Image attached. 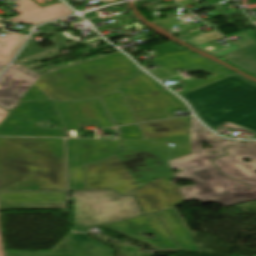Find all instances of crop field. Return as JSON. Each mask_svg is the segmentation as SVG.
I'll return each instance as SVG.
<instances>
[{
  "instance_id": "8a807250",
  "label": "crop field",
  "mask_w": 256,
  "mask_h": 256,
  "mask_svg": "<svg viewBox=\"0 0 256 256\" xmlns=\"http://www.w3.org/2000/svg\"><path fill=\"white\" fill-rule=\"evenodd\" d=\"M139 126L145 140H122L125 149L120 154L84 166L87 189L113 188L120 194L130 193L159 177L171 176L167 160L190 153V144L184 149L183 145L171 149L164 144L188 142V117Z\"/></svg>"
},
{
  "instance_id": "ac0d7876",
  "label": "crop field",
  "mask_w": 256,
  "mask_h": 256,
  "mask_svg": "<svg viewBox=\"0 0 256 256\" xmlns=\"http://www.w3.org/2000/svg\"><path fill=\"white\" fill-rule=\"evenodd\" d=\"M66 190L63 139L0 137V191Z\"/></svg>"
},
{
  "instance_id": "34b2d1b8",
  "label": "crop field",
  "mask_w": 256,
  "mask_h": 256,
  "mask_svg": "<svg viewBox=\"0 0 256 256\" xmlns=\"http://www.w3.org/2000/svg\"><path fill=\"white\" fill-rule=\"evenodd\" d=\"M136 66L120 52L42 75L34 84L55 101H77L115 92L135 76Z\"/></svg>"
},
{
  "instance_id": "412701ff",
  "label": "crop field",
  "mask_w": 256,
  "mask_h": 256,
  "mask_svg": "<svg viewBox=\"0 0 256 256\" xmlns=\"http://www.w3.org/2000/svg\"><path fill=\"white\" fill-rule=\"evenodd\" d=\"M182 97L211 129L229 122L256 133V85L236 74L194 89Z\"/></svg>"
},
{
  "instance_id": "f4fd0767",
  "label": "crop field",
  "mask_w": 256,
  "mask_h": 256,
  "mask_svg": "<svg viewBox=\"0 0 256 256\" xmlns=\"http://www.w3.org/2000/svg\"><path fill=\"white\" fill-rule=\"evenodd\" d=\"M240 142L242 141L224 144L168 161L171 168L182 170L174 173L176 179L188 180L195 184L179 187L185 202L201 201L250 188L221 174L210 161L212 158L226 154L223 150L224 147ZM212 150L217 153L212 154Z\"/></svg>"
},
{
  "instance_id": "dd49c442",
  "label": "crop field",
  "mask_w": 256,
  "mask_h": 256,
  "mask_svg": "<svg viewBox=\"0 0 256 256\" xmlns=\"http://www.w3.org/2000/svg\"><path fill=\"white\" fill-rule=\"evenodd\" d=\"M117 197L118 200L114 201ZM76 229L125 220L142 213L133 197H120L112 190L72 192ZM97 220L98 223L93 222Z\"/></svg>"
},
{
  "instance_id": "e52e79f7",
  "label": "crop field",
  "mask_w": 256,
  "mask_h": 256,
  "mask_svg": "<svg viewBox=\"0 0 256 256\" xmlns=\"http://www.w3.org/2000/svg\"><path fill=\"white\" fill-rule=\"evenodd\" d=\"M120 89L137 122L172 118L171 110L186 108L141 69L136 78L120 84Z\"/></svg>"
},
{
  "instance_id": "d8731c3e",
  "label": "crop field",
  "mask_w": 256,
  "mask_h": 256,
  "mask_svg": "<svg viewBox=\"0 0 256 256\" xmlns=\"http://www.w3.org/2000/svg\"><path fill=\"white\" fill-rule=\"evenodd\" d=\"M52 120L57 127L65 128L53 102H24L7 115L0 124V135L63 137L62 130H43L35 122Z\"/></svg>"
},
{
  "instance_id": "5a996713",
  "label": "crop field",
  "mask_w": 256,
  "mask_h": 256,
  "mask_svg": "<svg viewBox=\"0 0 256 256\" xmlns=\"http://www.w3.org/2000/svg\"><path fill=\"white\" fill-rule=\"evenodd\" d=\"M67 164L69 190L84 189L82 164L91 163L118 153V140L68 139Z\"/></svg>"
},
{
  "instance_id": "3316defc",
  "label": "crop field",
  "mask_w": 256,
  "mask_h": 256,
  "mask_svg": "<svg viewBox=\"0 0 256 256\" xmlns=\"http://www.w3.org/2000/svg\"><path fill=\"white\" fill-rule=\"evenodd\" d=\"M107 229L144 243L160 252L179 251L155 213L104 225ZM148 233L154 236L151 240L145 236Z\"/></svg>"
},
{
  "instance_id": "28ad6ade",
  "label": "crop field",
  "mask_w": 256,
  "mask_h": 256,
  "mask_svg": "<svg viewBox=\"0 0 256 256\" xmlns=\"http://www.w3.org/2000/svg\"><path fill=\"white\" fill-rule=\"evenodd\" d=\"M153 62H155L161 68L160 70L154 69L152 71H149V73L159 79L175 75V73H173L172 71L179 68H190L193 70L203 69L205 73H208L212 76L211 79L195 78L191 80L186 84V87L190 90L233 74L232 71L226 68H223L215 63H212L206 59L190 54L188 52H180L177 54L166 55L159 59L153 60Z\"/></svg>"
},
{
  "instance_id": "d1516ede",
  "label": "crop field",
  "mask_w": 256,
  "mask_h": 256,
  "mask_svg": "<svg viewBox=\"0 0 256 256\" xmlns=\"http://www.w3.org/2000/svg\"><path fill=\"white\" fill-rule=\"evenodd\" d=\"M230 154L213 160L220 171L248 186L256 187V144L245 142L226 149ZM241 158L252 160L245 163Z\"/></svg>"
},
{
  "instance_id": "22f410ed",
  "label": "crop field",
  "mask_w": 256,
  "mask_h": 256,
  "mask_svg": "<svg viewBox=\"0 0 256 256\" xmlns=\"http://www.w3.org/2000/svg\"><path fill=\"white\" fill-rule=\"evenodd\" d=\"M172 179L173 176L159 178L134 191L144 214L182 205L179 188L169 183Z\"/></svg>"
},
{
  "instance_id": "cbeb9de0",
  "label": "crop field",
  "mask_w": 256,
  "mask_h": 256,
  "mask_svg": "<svg viewBox=\"0 0 256 256\" xmlns=\"http://www.w3.org/2000/svg\"><path fill=\"white\" fill-rule=\"evenodd\" d=\"M6 256H115L114 250L91 240L86 234H69L51 252H5Z\"/></svg>"
},
{
  "instance_id": "5142ce71",
  "label": "crop field",
  "mask_w": 256,
  "mask_h": 256,
  "mask_svg": "<svg viewBox=\"0 0 256 256\" xmlns=\"http://www.w3.org/2000/svg\"><path fill=\"white\" fill-rule=\"evenodd\" d=\"M0 209H66V192H0Z\"/></svg>"
},
{
  "instance_id": "d9b57169",
  "label": "crop field",
  "mask_w": 256,
  "mask_h": 256,
  "mask_svg": "<svg viewBox=\"0 0 256 256\" xmlns=\"http://www.w3.org/2000/svg\"><path fill=\"white\" fill-rule=\"evenodd\" d=\"M40 75L14 64L0 77V107L11 109Z\"/></svg>"
},
{
  "instance_id": "733c2abd",
  "label": "crop field",
  "mask_w": 256,
  "mask_h": 256,
  "mask_svg": "<svg viewBox=\"0 0 256 256\" xmlns=\"http://www.w3.org/2000/svg\"><path fill=\"white\" fill-rule=\"evenodd\" d=\"M54 105L66 128H78V122L99 121L101 127L113 126L108 120L99 98Z\"/></svg>"
},
{
  "instance_id": "4a817a6b",
  "label": "crop field",
  "mask_w": 256,
  "mask_h": 256,
  "mask_svg": "<svg viewBox=\"0 0 256 256\" xmlns=\"http://www.w3.org/2000/svg\"><path fill=\"white\" fill-rule=\"evenodd\" d=\"M157 215L176 242L181 252L200 253V250L193 241L191 232L175 210L169 209L157 212Z\"/></svg>"
},
{
  "instance_id": "bc2a9ffb",
  "label": "crop field",
  "mask_w": 256,
  "mask_h": 256,
  "mask_svg": "<svg viewBox=\"0 0 256 256\" xmlns=\"http://www.w3.org/2000/svg\"><path fill=\"white\" fill-rule=\"evenodd\" d=\"M71 11L65 7L62 3L53 5L40 10L32 11L29 13L21 14L12 18L9 21L19 22V23H29L31 25H37L45 21L53 20L65 15L70 14Z\"/></svg>"
},
{
  "instance_id": "214f88e0",
  "label": "crop field",
  "mask_w": 256,
  "mask_h": 256,
  "mask_svg": "<svg viewBox=\"0 0 256 256\" xmlns=\"http://www.w3.org/2000/svg\"><path fill=\"white\" fill-rule=\"evenodd\" d=\"M102 99L112 121L117 125L136 122L120 89L115 94L103 96Z\"/></svg>"
},
{
  "instance_id": "92a150f3",
  "label": "crop field",
  "mask_w": 256,
  "mask_h": 256,
  "mask_svg": "<svg viewBox=\"0 0 256 256\" xmlns=\"http://www.w3.org/2000/svg\"><path fill=\"white\" fill-rule=\"evenodd\" d=\"M222 57L235 66L256 76V42Z\"/></svg>"
},
{
  "instance_id": "dafd665d",
  "label": "crop field",
  "mask_w": 256,
  "mask_h": 256,
  "mask_svg": "<svg viewBox=\"0 0 256 256\" xmlns=\"http://www.w3.org/2000/svg\"><path fill=\"white\" fill-rule=\"evenodd\" d=\"M204 128L193 117H191V135H190L191 152H196L201 150L200 142L202 140H205L212 146L232 142L231 140H223ZM195 129L198 130L197 133H194Z\"/></svg>"
},
{
  "instance_id": "00972430",
  "label": "crop field",
  "mask_w": 256,
  "mask_h": 256,
  "mask_svg": "<svg viewBox=\"0 0 256 256\" xmlns=\"http://www.w3.org/2000/svg\"><path fill=\"white\" fill-rule=\"evenodd\" d=\"M25 36L7 33L5 36L0 37V68L14 56L16 51L23 43Z\"/></svg>"
},
{
  "instance_id": "a9b5d70f",
  "label": "crop field",
  "mask_w": 256,
  "mask_h": 256,
  "mask_svg": "<svg viewBox=\"0 0 256 256\" xmlns=\"http://www.w3.org/2000/svg\"><path fill=\"white\" fill-rule=\"evenodd\" d=\"M253 199H256V188L238 192V193H234V194H230V195H226V196H222V197H218V198L201 201V203L215 202V203H219L223 206H228V205H232V204H235L238 202L253 200Z\"/></svg>"
},
{
  "instance_id": "4177f3b9",
  "label": "crop field",
  "mask_w": 256,
  "mask_h": 256,
  "mask_svg": "<svg viewBox=\"0 0 256 256\" xmlns=\"http://www.w3.org/2000/svg\"><path fill=\"white\" fill-rule=\"evenodd\" d=\"M122 139H144L137 124L120 127Z\"/></svg>"
},
{
  "instance_id": "730fd06b",
  "label": "crop field",
  "mask_w": 256,
  "mask_h": 256,
  "mask_svg": "<svg viewBox=\"0 0 256 256\" xmlns=\"http://www.w3.org/2000/svg\"><path fill=\"white\" fill-rule=\"evenodd\" d=\"M40 52H43V50L40 47H38L32 40L28 39L25 46L19 53L18 57L16 56L17 58L14 61H16L17 59L38 54Z\"/></svg>"
},
{
  "instance_id": "eef30255",
  "label": "crop field",
  "mask_w": 256,
  "mask_h": 256,
  "mask_svg": "<svg viewBox=\"0 0 256 256\" xmlns=\"http://www.w3.org/2000/svg\"><path fill=\"white\" fill-rule=\"evenodd\" d=\"M13 3L16 4L18 7L12 8V9L19 14L40 9V7H38L31 0H18V1H14Z\"/></svg>"
},
{
  "instance_id": "ae1a2a85",
  "label": "crop field",
  "mask_w": 256,
  "mask_h": 256,
  "mask_svg": "<svg viewBox=\"0 0 256 256\" xmlns=\"http://www.w3.org/2000/svg\"><path fill=\"white\" fill-rule=\"evenodd\" d=\"M151 49L154 52H156L159 56L162 55V54H165V53L183 50L181 48H178V47L174 46L173 44H171L169 42L151 47Z\"/></svg>"
},
{
  "instance_id": "d3111659",
  "label": "crop field",
  "mask_w": 256,
  "mask_h": 256,
  "mask_svg": "<svg viewBox=\"0 0 256 256\" xmlns=\"http://www.w3.org/2000/svg\"><path fill=\"white\" fill-rule=\"evenodd\" d=\"M37 99H48V98H46L40 91H38L32 85L31 88L26 92V94L21 98L19 102L24 100H37Z\"/></svg>"
},
{
  "instance_id": "750c4746",
  "label": "crop field",
  "mask_w": 256,
  "mask_h": 256,
  "mask_svg": "<svg viewBox=\"0 0 256 256\" xmlns=\"http://www.w3.org/2000/svg\"><path fill=\"white\" fill-rule=\"evenodd\" d=\"M37 29H39L40 32L32 34L30 38L53 31V29H51L47 24L42 25V26L38 27Z\"/></svg>"
},
{
  "instance_id": "bd1437ed",
  "label": "crop field",
  "mask_w": 256,
  "mask_h": 256,
  "mask_svg": "<svg viewBox=\"0 0 256 256\" xmlns=\"http://www.w3.org/2000/svg\"><path fill=\"white\" fill-rule=\"evenodd\" d=\"M9 112L0 109V122L6 117Z\"/></svg>"
},
{
  "instance_id": "1d83c4d3",
  "label": "crop field",
  "mask_w": 256,
  "mask_h": 256,
  "mask_svg": "<svg viewBox=\"0 0 256 256\" xmlns=\"http://www.w3.org/2000/svg\"><path fill=\"white\" fill-rule=\"evenodd\" d=\"M103 131H104V133H112L113 135H116L114 130L106 129V130H103Z\"/></svg>"
},
{
  "instance_id": "120bbe31",
  "label": "crop field",
  "mask_w": 256,
  "mask_h": 256,
  "mask_svg": "<svg viewBox=\"0 0 256 256\" xmlns=\"http://www.w3.org/2000/svg\"><path fill=\"white\" fill-rule=\"evenodd\" d=\"M0 256H3V249H2V243H1V235H0Z\"/></svg>"
},
{
  "instance_id": "d32e631a",
  "label": "crop field",
  "mask_w": 256,
  "mask_h": 256,
  "mask_svg": "<svg viewBox=\"0 0 256 256\" xmlns=\"http://www.w3.org/2000/svg\"><path fill=\"white\" fill-rule=\"evenodd\" d=\"M108 3H110V2H113V1H117V0H106Z\"/></svg>"
},
{
  "instance_id": "5866460e",
  "label": "crop field",
  "mask_w": 256,
  "mask_h": 256,
  "mask_svg": "<svg viewBox=\"0 0 256 256\" xmlns=\"http://www.w3.org/2000/svg\"><path fill=\"white\" fill-rule=\"evenodd\" d=\"M2 69H0V71H1Z\"/></svg>"
},
{
  "instance_id": "028f5c9d",
  "label": "crop field",
  "mask_w": 256,
  "mask_h": 256,
  "mask_svg": "<svg viewBox=\"0 0 256 256\" xmlns=\"http://www.w3.org/2000/svg\"><path fill=\"white\" fill-rule=\"evenodd\" d=\"M256 143V142H255Z\"/></svg>"
}]
</instances>
